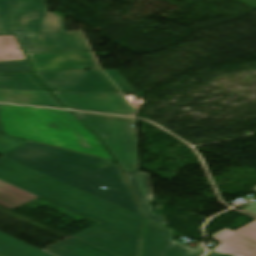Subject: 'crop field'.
<instances>
[{
	"label": "crop field",
	"instance_id": "obj_1",
	"mask_svg": "<svg viewBox=\"0 0 256 256\" xmlns=\"http://www.w3.org/2000/svg\"><path fill=\"white\" fill-rule=\"evenodd\" d=\"M0 180L101 224L74 237L116 256H141L145 219L5 157Z\"/></svg>",
	"mask_w": 256,
	"mask_h": 256
},
{
	"label": "crop field",
	"instance_id": "obj_2",
	"mask_svg": "<svg viewBox=\"0 0 256 256\" xmlns=\"http://www.w3.org/2000/svg\"><path fill=\"white\" fill-rule=\"evenodd\" d=\"M1 34H17L27 53L90 51L81 32L66 33L45 0H0Z\"/></svg>",
	"mask_w": 256,
	"mask_h": 256
},
{
	"label": "crop field",
	"instance_id": "obj_3",
	"mask_svg": "<svg viewBox=\"0 0 256 256\" xmlns=\"http://www.w3.org/2000/svg\"><path fill=\"white\" fill-rule=\"evenodd\" d=\"M0 118L9 135L112 160L96 137L67 111L0 105Z\"/></svg>",
	"mask_w": 256,
	"mask_h": 256
},
{
	"label": "crop field",
	"instance_id": "obj_4",
	"mask_svg": "<svg viewBox=\"0 0 256 256\" xmlns=\"http://www.w3.org/2000/svg\"><path fill=\"white\" fill-rule=\"evenodd\" d=\"M3 156L72 187L141 215L128 186L78 164L28 143ZM101 186L108 189L104 190L100 188ZM112 188H116V190ZM119 196L124 199L119 198Z\"/></svg>",
	"mask_w": 256,
	"mask_h": 256
},
{
	"label": "crop field",
	"instance_id": "obj_5",
	"mask_svg": "<svg viewBox=\"0 0 256 256\" xmlns=\"http://www.w3.org/2000/svg\"><path fill=\"white\" fill-rule=\"evenodd\" d=\"M95 131L125 171L138 170V146L135 119L78 113Z\"/></svg>",
	"mask_w": 256,
	"mask_h": 256
},
{
	"label": "crop field",
	"instance_id": "obj_6",
	"mask_svg": "<svg viewBox=\"0 0 256 256\" xmlns=\"http://www.w3.org/2000/svg\"><path fill=\"white\" fill-rule=\"evenodd\" d=\"M36 73L50 90L78 92L119 91L101 70Z\"/></svg>",
	"mask_w": 256,
	"mask_h": 256
},
{
	"label": "crop field",
	"instance_id": "obj_7",
	"mask_svg": "<svg viewBox=\"0 0 256 256\" xmlns=\"http://www.w3.org/2000/svg\"><path fill=\"white\" fill-rule=\"evenodd\" d=\"M52 92L68 109L127 116L134 115L136 112L121 92Z\"/></svg>",
	"mask_w": 256,
	"mask_h": 256
},
{
	"label": "crop field",
	"instance_id": "obj_8",
	"mask_svg": "<svg viewBox=\"0 0 256 256\" xmlns=\"http://www.w3.org/2000/svg\"><path fill=\"white\" fill-rule=\"evenodd\" d=\"M174 231L148 220L144 256H203L200 244L194 249L174 241Z\"/></svg>",
	"mask_w": 256,
	"mask_h": 256
},
{
	"label": "crop field",
	"instance_id": "obj_9",
	"mask_svg": "<svg viewBox=\"0 0 256 256\" xmlns=\"http://www.w3.org/2000/svg\"><path fill=\"white\" fill-rule=\"evenodd\" d=\"M36 71L99 69L91 52L28 54Z\"/></svg>",
	"mask_w": 256,
	"mask_h": 256
},
{
	"label": "crop field",
	"instance_id": "obj_10",
	"mask_svg": "<svg viewBox=\"0 0 256 256\" xmlns=\"http://www.w3.org/2000/svg\"><path fill=\"white\" fill-rule=\"evenodd\" d=\"M221 243L215 250L239 256H256V221L233 232L224 229L212 236Z\"/></svg>",
	"mask_w": 256,
	"mask_h": 256
},
{
	"label": "crop field",
	"instance_id": "obj_11",
	"mask_svg": "<svg viewBox=\"0 0 256 256\" xmlns=\"http://www.w3.org/2000/svg\"><path fill=\"white\" fill-rule=\"evenodd\" d=\"M26 142H29L37 147H40L44 150H47L49 152H52L56 155H59L63 158H66L70 161H73L75 163H78L82 166H85L89 169H92L96 172H99L103 175H106L112 179H115L119 182H122L124 184H126L122 174H121V171L120 169L117 167V165H114L112 163H109L107 161H104V160H101L99 158H96V157H92V156H87V155H83V154H79V153H74V152H70V151H66V150H62V149H59V148H55V147H51V146H47V145H43V144H39V143H35V142H31V141H27V140H24ZM98 162H106V163H109L111 164L112 166L111 167H107V168H103V169H99L97 168L95 165L96 163ZM127 185V184H126Z\"/></svg>",
	"mask_w": 256,
	"mask_h": 256
},
{
	"label": "crop field",
	"instance_id": "obj_12",
	"mask_svg": "<svg viewBox=\"0 0 256 256\" xmlns=\"http://www.w3.org/2000/svg\"><path fill=\"white\" fill-rule=\"evenodd\" d=\"M0 102L62 108L48 91L0 89Z\"/></svg>",
	"mask_w": 256,
	"mask_h": 256
},
{
	"label": "crop field",
	"instance_id": "obj_13",
	"mask_svg": "<svg viewBox=\"0 0 256 256\" xmlns=\"http://www.w3.org/2000/svg\"><path fill=\"white\" fill-rule=\"evenodd\" d=\"M45 251L56 256H112L73 237Z\"/></svg>",
	"mask_w": 256,
	"mask_h": 256
},
{
	"label": "crop field",
	"instance_id": "obj_14",
	"mask_svg": "<svg viewBox=\"0 0 256 256\" xmlns=\"http://www.w3.org/2000/svg\"><path fill=\"white\" fill-rule=\"evenodd\" d=\"M1 256H54L0 232Z\"/></svg>",
	"mask_w": 256,
	"mask_h": 256
},
{
	"label": "crop field",
	"instance_id": "obj_15",
	"mask_svg": "<svg viewBox=\"0 0 256 256\" xmlns=\"http://www.w3.org/2000/svg\"><path fill=\"white\" fill-rule=\"evenodd\" d=\"M0 88L47 90L33 72L0 73Z\"/></svg>",
	"mask_w": 256,
	"mask_h": 256
},
{
	"label": "crop field",
	"instance_id": "obj_16",
	"mask_svg": "<svg viewBox=\"0 0 256 256\" xmlns=\"http://www.w3.org/2000/svg\"><path fill=\"white\" fill-rule=\"evenodd\" d=\"M39 197L0 181V205L14 210Z\"/></svg>",
	"mask_w": 256,
	"mask_h": 256
},
{
	"label": "crop field",
	"instance_id": "obj_17",
	"mask_svg": "<svg viewBox=\"0 0 256 256\" xmlns=\"http://www.w3.org/2000/svg\"><path fill=\"white\" fill-rule=\"evenodd\" d=\"M26 60L15 36H0V61Z\"/></svg>",
	"mask_w": 256,
	"mask_h": 256
},
{
	"label": "crop field",
	"instance_id": "obj_18",
	"mask_svg": "<svg viewBox=\"0 0 256 256\" xmlns=\"http://www.w3.org/2000/svg\"><path fill=\"white\" fill-rule=\"evenodd\" d=\"M127 175L132 187L153 196L149 181V174L140 171H134L128 172Z\"/></svg>",
	"mask_w": 256,
	"mask_h": 256
},
{
	"label": "crop field",
	"instance_id": "obj_19",
	"mask_svg": "<svg viewBox=\"0 0 256 256\" xmlns=\"http://www.w3.org/2000/svg\"><path fill=\"white\" fill-rule=\"evenodd\" d=\"M134 189V188H133ZM134 192L136 193L139 201H140V204L144 210V212L146 213L147 215V218L154 221V222H157L159 224H164V225H167V222L164 218V216H161V215H154L153 212H152V209L151 207L148 205L147 202L149 201H153L155 200L152 196L148 195V194H145L141 191H138L136 189H134ZM144 213V214H145Z\"/></svg>",
	"mask_w": 256,
	"mask_h": 256
},
{
	"label": "crop field",
	"instance_id": "obj_20",
	"mask_svg": "<svg viewBox=\"0 0 256 256\" xmlns=\"http://www.w3.org/2000/svg\"><path fill=\"white\" fill-rule=\"evenodd\" d=\"M25 71H32L28 61L0 62V72H25Z\"/></svg>",
	"mask_w": 256,
	"mask_h": 256
},
{
	"label": "crop field",
	"instance_id": "obj_21",
	"mask_svg": "<svg viewBox=\"0 0 256 256\" xmlns=\"http://www.w3.org/2000/svg\"><path fill=\"white\" fill-rule=\"evenodd\" d=\"M26 142L16 138L0 135V155L24 144Z\"/></svg>",
	"mask_w": 256,
	"mask_h": 256
},
{
	"label": "crop field",
	"instance_id": "obj_22",
	"mask_svg": "<svg viewBox=\"0 0 256 256\" xmlns=\"http://www.w3.org/2000/svg\"><path fill=\"white\" fill-rule=\"evenodd\" d=\"M105 72L122 91H135L116 70H110Z\"/></svg>",
	"mask_w": 256,
	"mask_h": 256
},
{
	"label": "crop field",
	"instance_id": "obj_23",
	"mask_svg": "<svg viewBox=\"0 0 256 256\" xmlns=\"http://www.w3.org/2000/svg\"><path fill=\"white\" fill-rule=\"evenodd\" d=\"M253 190L256 191V188H254ZM243 211H245V212H247V213H249V214H251V215L256 217V203L254 205H252L251 207L243 210Z\"/></svg>",
	"mask_w": 256,
	"mask_h": 256
},
{
	"label": "crop field",
	"instance_id": "obj_24",
	"mask_svg": "<svg viewBox=\"0 0 256 256\" xmlns=\"http://www.w3.org/2000/svg\"><path fill=\"white\" fill-rule=\"evenodd\" d=\"M206 256H230V255H223V254H218V253H216L214 251H210V253L208 255H206Z\"/></svg>",
	"mask_w": 256,
	"mask_h": 256
},
{
	"label": "crop field",
	"instance_id": "obj_25",
	"mask_svg": "<svg viewBox=\"0 0 256 256\" xmlns=\"http://www.w3.org/2000/svg\"><path fill=\"white\" fill-rule=\"evenodd\" d=\"M2 132H4V131H3V126H2L1 121H0V133H2Z\"/></svg>",
	"mask_w": 256,
	"mask_h": 256
}]
</instances>
